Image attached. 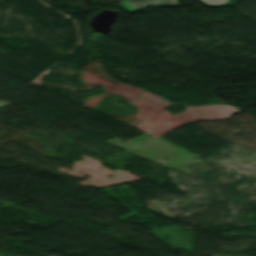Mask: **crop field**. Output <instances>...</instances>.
I'll use <instances>...</instances> for the list:
<instances>
[{"mask_svg": "<svg viewBox=\"0 0 256 256\" xmlns=\"http://www.w3.org/2000/svg\"><path fill=\"white\" fill-rule=\"evenodd\" d=\"M210 120H221L231 117L230 114L239 111L228 105L197 106ZM186 111L176 114L193 123L195 120H208L194 107H185Z\"/></svg>", "mask_w": 256, "mask_h": 256, "instance_id": "1", "label": "crop field"}, {"mask_svg": "<svg viewBox=\"0 0 256 256\" xmlns=\"http://www.w3.org/2000/svg\"><path fill=\"white\" fill-rule=\"evenodd\" d=\"M123 8L127 11L132 12L140 9L146 8L147 5L151 6H177L175 0H129V1H121L119 3Z\"/></svg>", "mask_w": 256, "mask_h": 256, "instance_id": "2", "label": "crop field"}, {"mask_svg": "<svg viewBox=\"0 0 256 256\" xmlns=\"http://www.w3.org/2000/svg\"><path fill=\"white\" fill-rule=\"evenodd\" d=\"M117 87H119V88H121V89H123V90H125L127 92H130V93H132L134 95H138L141 92H143V91H141V90H139V89H137V88H135V87H133L131 85L122 84V83H119L117 85ZM139 97L144 99V100H146V101H148V102H150V103H152V104H154V105H156V106H158V107H160V108H163V109L168 107V106H170L169 103H167V102H161L160 99H159L160 97H158V96H156L154 94H150V93L144 92Z\"/></svg>", "mask_w": 256, "mask_h": 256, "instance_id": "3", "label": "crop field"}, {"mask_svg": "<svg viewBox=\"0 0 256 256\" xmlns=\"http://www.w3.org/2000/svg\"><path fill=\"white\" fill-rule=\"evenodd\" d=\"M207 6H221L228 0H201Z\"/></svg>", "mask_w": 256, "mask_h": 256, "instance_id": "4", "label": "crop field"}]
</instances>
